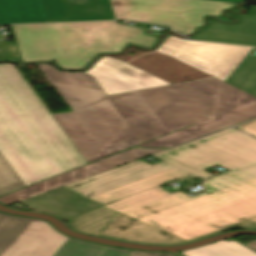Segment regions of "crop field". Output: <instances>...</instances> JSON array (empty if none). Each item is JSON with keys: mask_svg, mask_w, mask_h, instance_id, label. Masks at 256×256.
Wrapping results in <instances>:
<instances>
[{"mask_svg": "<svg viewBox=\"0 0 256 256\" xmlns=\"http://www.w3.org/2000/svg\"><path fill=\"white\" fill-rule=\"evenodd\" d=\"M25 187L0 153V196Z\"/></svg>", "mask_w": 256, "mask_h": 256, "instance_id": "crop-field-16", "label": "crop field"}, {"mask_svg": "<svg viewBox=\"0 0 256 256\" xmlns=\"http://www.w3.org/2000/svg\"><path fill=\"white\" fill-rule=\"evenodd\" d=\"M23 62L56 61L62 68L83 69L96 54L119 53L128 44L152 48L160 39L145 30L116 22L12 26Z\"/></svg>", "mask_w": 256, "mask_h": 256, "instance_id": "crop-field-4", "label": "crop field"}, {"mask_svg": "<svg viewBox=\"0 0 256 256\" xmlns=\"http://www.w3.org/2000/svg\"><path fill=\"white\" fill-rule=\"evenodd\" d=\"M51 22L44 0H0V24Z\"/></svg>", "mask_w": 256, "mask_h": 256, "instance_id": "crop-field-12", "label": "crop field"}, {"mask_svg": "<svg viewBox=\"0 0 256 256\" xmlns=\"http://www.w3.org/2000/svg\"><path fill=\"white\" fill-rule=\"evenodd\" d=\"M85 73L94 76L107 95L169 85L121 60L109 57L100 58Z\"/></svg>", "mask_w": 256, "mask_h": 256, "instance_id": "crop-field-10", "label": "crop field"}, {"mask_svg": "<svg viewBox=\"0 0 256 256\" xmlns=\"http://www.w3.org/2000/svg\"><path fill=\"white\" fill-rule=\"evenodd\" d=\"M53 118L15 66L0 65V152L26 186L87 164Z\"/></svg>", "mask_w": 256, "mask_h": 256, "instance_id": "crop-field-3", "label": "crop field"}, {"mask_svg": "<svg viewBox=\"0 0 256 256\" xmlns=\"http://www.w3.org/2000/svg\"><path fill=\"white\" fill-rule=\"evenodd\" d=\"M246 245L256 250V241L255 242H250Z\"/></svg>", "mask_w": 256, "mask_h": 256, "instance_id": "crop-field-21", "label": "crop field"}, {"mask_svg": "<svg viewBox=\"0 0 256 256\" xmlns=\"http://www.w3.org/2000/svg\"><path fill=\"white\" fill-rule=\"evenodd\" d=\"M52 22L129 19L165 24L185 35L205 25L208 15L236 4L205 0H45Z\"/></svg>", "mask_w": 256, "mask_h": 256, "instance_id": "crop-field-5", "label": "crop field"}, {"mask_svg": "<svg viewBox=\"0 0 256 256\" xmlns=\"http://www.w3.org/2000/svg\"><path fill=\"white\" fill-rule=\"evenodd\" d=\"M135 26L142 27V28H148L150 25L142 24V23H136Z\"/></svg>", "mask_w": 256, "mask_h": 256, "instance_id": "crop-field-20", "label": "crop field"}, {"mask_svg": "<svg viewBox=\"0 0 256 256\" xmlns=\"http://www.w3.org/2000/svg\"><path fill=\"white\" fill-rule=\"evenodd\" d=\"M129 256H173V255L168 253H155V252L134 250Z\"/></svg>", "mask_w": 256, "mask_h": 256, "instance_id": "crop-field-18", "label": "crop field"}, {"mask_svg": "<svg viewBox=\"0 0 256 256\" xmlns=\"http://www.w3.org/2000/svg\"><path fill=\"white\" fill-rule=\"evenodd\" d=\"M117 211L103 206L85 215L71 220L68 224L73 230L92 236H99L107 227Z\"/></svg>", "mask_w": 256, "mask_h": 256, "instance_id": "crop-field-13", "label": "crop field"}, {"mask_svg": "<svg viewBox=\"0 0 256 256\" xmlns=\"http://www.w3.org/2000/svg\"><path fill=\"white\" fill-rule=\"evenodd\" d=\"M251 49L167 36L156 51L177 58L225 81Z\"/></svg>", "mask_w": 256, "mask_h": 256, "instance_id": "crop-field-8", "label": "crop field"}, {"mask_svg": "<svg viewBox=\"0 0 256 256\" xmlns=\"http://www.w3.org/2000/svg\"><path fill=\"white\" fill-rule=\"evenodd\" d=\"M213 1H222V2H231V3H240L243 0H213Z\"/></svg>", "mask_w": 256, "mask_h": 256, "instance_id": "crop-field-19", "label": "crop field"}, {"mask_svg": "<svg viewBox=\"0 0 256 256\" xmlns=\"http://www.w3.org/2000/svg\"><path fill=\"white\" fill-rule=\"evenodd\" d=\"M193 174L175 168L111 192L91 198L103 205L117 211H124L135 206L170 195L158 185H162L170 180H180Z\"/></svg>", "mask_w": 256, "mask_h": 256, "instance_id": "crop-field-11", "label": "crop field"}, {"mask_svg": "<svg viewBox=\"0 0 256 256\" xmlns=\"http://www.w3.org/2000/svg\"><path fill=\"white\" fill-rule=\"evenodd\" d=\"M235 128H238V129H240L244 132H247L251 135L256 136V120L251 121V122L246 123V124H243V125H240V126L235 127Z\"/></svg>", "mask_w": 256, "mask_h": 256, "instance_id": "crop-field-17", "label": "crop field"}, {"mask_svg": "<svg viewBox=\"0 0 256 256\" xmlns=\"http://www.w3.org/2000/svg\"><path fill=\"white\" fill-rule=\"evenodd\" d=\"M40 69L72 112L51 114L88 163L131 146L173 148L256 118V97L215 77L107 96L94 77Z\"/></svg>", "mask_w": 256, "mask_h": 256, "instance_id": "crop-field-1", "label": "crop field"}, {"mask_svg": "<svg viewBox=\"0 0 256 256\" xmlns=\"http://www.w3.org/2000/svg\"><path fill=\"white\" fill-rule=\"evenodd\" d=\"M165 149H128L120 154L105 158L103 160L85 165L70 172L64 173L34 186L11 193L0 198V203L8 206L19 201L43 194L53 189L66 186L78 180L104 172L106 170L129 164L138 159L145 158Z\"/></svg>", "mask_w": 256, "mask_h": 256, "instance_id": "crop-field-9", "label": "crop field"}, {"mask_svg": "<svg viewBox=\"0 0 256 256\" xmlns=\"http://www.w3.org/2000/svg\"><path fill=\"white\" fill-rule=\"evenodd\" d=\"M69 238L46 221L0 212V256H54Z\"/></svg>", "mask_w": 256, "mask_h": 256, "instance_id": "crop-field-7", "label": "crop field"}, {"mask_svg": "<svg viewBox=\"0 0 256 256\" xmlns=\"http://www.w3.org/2000/svg\"><path fill=\"white\" fill-rule=\"evenodd\" d=\"M156 157L204 178L213 175L204 169L216 164L231 171L204 181V194L190 198L179 191L118 212L100 237L180 245L231 228L256 229V139L230 129Z\"/></svg>", "mask_w": 256, "mask_h": 256, "instance_id": "crop-field-2", "label": "crop field"}, {"mask_svg": "<svg viewBox=\"0 0 256 256\" xmlns=\"http://www.w3.org/2000/svg\"><path fill=\"white\" fill-rule=\"evenodd\" d=\"M131 251L70 238L55 256H127Z\"/></svg>", "mask_w": 256, "mask_h": 256, "instance_id": "crop-field-14", "label": "crop field"}, {"mask_svg": "<svg viewBox=\"0 0 256 256\" xmlns=\"http://www.w3.org/2000/svg\"><path fill=\"white\" fill-rule=\"evenodd\" d=\"M172 169L162 164L150 167L140 160L23 201L35 212L67 221L103 205L89 199L96 195Z\"/></svg>", "mask_w": 256, "mask_h": 256, "instance_id": "crop-field-6", "label": "crop field"}, {"mask_svg": "<svg viewBox=\"0 0 256 256\" xmlns=\"http://www.w3.org/2000/svg\"><path fill=\"white\" fill-rule=\"evenodd\" d=\"M186 256H256V253L247 247L231 241L217 242L199 249L183 252Z\"/></svg>", "mask_w": 256, "mask_h": 256, "instance_id": "crop-field-15", "label": "crop field"}]
</instances>
